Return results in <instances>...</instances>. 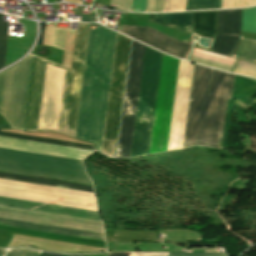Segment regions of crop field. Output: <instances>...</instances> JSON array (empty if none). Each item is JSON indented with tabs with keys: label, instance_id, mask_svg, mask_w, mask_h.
Instances as JSON below:
<instances>
[{
	"label": "crop field",
	"instance_id": "18",
	"mask_svg": "<svg viewBox=\"0 0 256 256\" xmlns=\"http://www.w3.org/2000/svg\"><path fill=\"white\" fill-rule=\"evenodd\" d=\"M89 26L90 24L79 23L72 59L71 69L82 74L84 69Z\"/></svg>",
	"mask_w": 256,
	"mask_h": 256
},
{
	"label": "crop field",
	"instance_id": "37",
	"mask_svg": "<svg viewBox=\"0 0 256 256\" xmlns=\"http://www.w3.org/2000/svg\"><path fill=\"white\" fill-rule=\"evenodd\" d=\"M44 26H45V23L41 22L40 23L41 35H40V38H39V41H38V43H40V44H42V41H43Z\"/></svg>",
	"mask_w": 256,
	"mask_h": 256
},
{
	"label": "crop field",
	"instance_id": "16",
	"mask_svg": "<svg viewBox=\"0 0 256 256\" xmlns=\"http://www.w3.org/2000/svg\"><path fill=\"white\" fill-rule=\"evenodd\" d=\"M1 225L65 234L104 241L103 234L0 218Z\"/></svg>",
	"mask_w": 256,
	"mask_h": 256
},
{
	"label": "crop field",
	"instance_id": "20",
	"mask_svg": "<svg viewBox=\"0 0 256 256\" xmlns=\"http://www.w3.org/2000/svg\"><path fill=\"white\" fill-rule=\"evenodd\" d=\"M193 55H197V56H200V57L208 58V59H211V60H215V61H218V62L230 64V65H232L234 60H235L233 58H229V57H225V56H221V55L201 51V50H198L196 48L193 52ZM193 55L191 56L190 61H194V62H197V63H200V64H204V65H207V66H210V67H214V68H217V69H220V70H224V71H227V72H229V70L231 68L230 65L218 63V62H215V61L207 60V59L200 58V57L193 56Z\"/></svg>",
	"mask_w": 256,
	"mask_h": 256
},
{
	"label": "crop field",
	"instance_id": "39",
	"mask_svg": "<svg viewBox=\"0 0 256 256\" xmlns=\"http://www.w3.org/2000/svg\"><path fill=\"white\" fill-rule=\"evenodd\" d=\"M4 251H5V250H1V249H0V256L3 255Z\"/></svg>",
	"mask_w": 256,
	"mask_h": 256
},
{
	"label": "crop field",
	"instance_id": "29",
	"mask_svg": "<svg viewBox=\"0 0 256 256\" xmlns=\"http://www.w3.org/2000/svg\"><path fill=\"white\" fill-rule=\"evenodd\" d=\"M165 0H148L146 12H163Z\"/></svg>",
	"mask_w": 256,
	"mask_h": 256
},
{
	"label": "crop field",
	"instance_id": "25",
	"mask_svg": "<svg viewBox=\"0 0 256 256\" xmlns=\"http://www.w3.org/2000/svg\"><path fill=\"white\" fill-rule=\"evenodd\" d=\"M8 23H3V14H0V68L4 67Z\"/></svg>",
	"mask_w": 256,
	"mask_h": 256
},
{
	"label": "crop field",
	"instance_id": "33",
	"mask_svg": "<svg viewBox=\"0 0 256 256\" xmlns=\"http://www.w3.org/2000/svg\"><path fill=\"white\" fill-rule=\"evenodd\" d=\"M169 256H226L225 254H205V253H170Z\"/></svg>",
	"mask_w": 256,
	"mask_h": 256
},
{
	"label": "crop field",
	"instance_id": "8",
	"mask_svg": "<svg viewBox=\"0 0 256 256\" xmlns=\"http://www.w3.org/2000/svg\"><path fill=\"white\" fill-rule=\"evenodd\" d=\"M145 46L133 41L117 157H129Z\"/></svg>",
	"mask_w": 256,
	"mask_h": 256
},
{
	"label": "crop field",
	"instance_id": "26",
	"mask_svg": "<svg viewBox=\"0 0 256 256\" xmlns=\"http://www.w3.org/2000/svg\"><path fill=\"white\" fill-rule=\"evenodd\" d=\"M219 0H188L186 10L218 8Z\"/></svg>",
	"mask_w": 256,
	"mask_h": 256
},
{
	"label": "crop field",
	"instance_id": "5",
	"mask_svg": "<svg viewBox=\"0 0 256 256\" xmlns=\"http://www.w3.org/2000/svg\"><path fill=\"white\" fill-rule=\"evenodd\" d=\"M161 57L146 46L130 157L148 154Z\"/></svg>",
	"mask_w": 256,
	"mask_h": 256
},
{
	"label": "crop field",
	"instance_id": "32",
	"mask_svg": "<svg viewBox=\"0 0 256 256\" xmlns=\"http://www.w3.org/2000/svg\"><path fill=\"white\" fill-rule=\"evenodd\" d=\"M147 0H134L132 11L145 12Z\"/></svg>",
	"mask_w": 256,
	"mask_h": 256
},
{
	"label": "crop field",
	"instance_id": "19",
	"mask_svg": "<svg viewBox=\"0 0 256 256\" xmlns=\"http://www.w3.org/2000/svg\"><path fill=\"white\" fill-rule=\"evenodd\" d=\"M216 11L194 12L192 33L215 39Z\"/></svg>",
	"mask_w": 256,
	"mask_h": 256
},
{
	"label": "crop field",
	"instance_id": "34",
	"mask_svg": "<svg viewBox=\"0 0 256 256\" xmlns=\"http://www.w3.org/2000/svg\"><path fill=\"white\" fill-rule=\"evenodd\" d=\"M168 253H130L129 256H167Z\"/></svg>",
	"mask_w": 256,
	"mask_h": 256
},
{
	"label": "crop field",
	"instance_id": "10",
	"mask_svg": "<svg viewBox=\"0 0 256 256\" xmlns=\"http://www.w3.org/2000/svg\"><path fill=\"white\" fill-rule=\"evenodd\" d=\"M0 217L103 233L102 225L98 222L36 213L6 207H0Z\"/></svg>",
	"mask_w": 256,
	"mask_h": 256
},
{
	"label": "crop field",
	"instance_id": "24",
	"mask_svg": "<svg viewBox=\"0 0 256 256\" xmlns=\"http://www.w3.org/2000/svg\"><path fill=\"white\" fill-rule=\"evenodd\" d=\"M242 31L256 33V8L243 10Z\"/></svg>",
	"mask_w": 256,
	"mask_h": 256
},
{
	"label": "crop field",
	"instance_id": "36",
	"mask_svg": "<svg viewBox=\"0 0 256 256\" xmlns=\"http://www.w3.org/2000/svg\"><path fill=\"white\" fill-rule=\"evenodd\" d=\"M40 256H58L56 253H49V252H41ZM59 256H84V255H66V254H59Z\"/></svg>",
	"mask_w": 256,
	"mask_h": 256
},
{
	"label": "crop field",
	"instance_id": "14",
	"mask_svg": "<svg viewBox=\"0 0 256 256\" xmlns=\"http://www.w3.org/2000/svg\"><path fill=\"white\" fill-rule=\"evenodd\" d=\"M0 206H6V207L101 222L97 212L82 210V209H75V208L37 203V202H31V201H25V200H18V199L6 198V197H0Z\"/></svg>",
	"mask_w": 256,
	"mask_h": 256
},
{
	"label": "crop field",
	"instance_id": "28",
	"mask_svg": "<svg viewBox=\"0 0 256 256\" xmlns=\"http://www.w3.org/2000/svg\"><path fill=\"white\" fill-rule=\"evenodd\" d=\"M37 253L36 250L28 248H18V249H9L6 256H35ZM40 251H38L36 256H39Z\"/></svg>",
	"mask_w": 256,
	"mask_h": 256
},
{
	"label": "crop field",
	"instance_id": "12",
	"mask_svg": "<svg viewBox=\"0 0 256 256\" xmlns=\"http://www.w3.org/2000/svg\"><path fill=\"white\" fill-rule=\"evenodd\" d=\"M123 34L175 57L185 59L191 46L147 27L124 25Z\"/></svg>",
	"mask_w": 256,
	"mask_h": 256
},
{
	"label": "crop field",
	"instance_id": "22",
	"mask_svg": "<svg viewBox=\"0 0 256 256\" xmlns=\"http://www.w3.org/2000/svg\"><path fill=\"white\" fill-rule=\"evenodd\" d=\"M234 57L255 63L256 40L241 37V41Z\"/></svg>",
	"mask_w": 256,
	"mask_h": 256
},
{
	"label": "crop field",
	"instance_id": "35",
	"mask_svg": "<svg viewBox=\"0 0 256 256\" xmlns=\"http://www.w3.org/2000/svg\"><path fill=\"white\" fill-rule=\"evenodd\" d=\"M81 21L96 22L97 19H96L95 15H85V14H82Z\"/></svg>",
	"mask_w": 256,
	"mask_h": 256
},
{
	"label": "crop field",
	"instance_id": "17",
	"mask_svg": "<svg viewBox=\"0 0 256 256\" xmlns=\"http://www.w3.org/2000/svg\"><path fill=\"white\" fill-rule=\"evenodd\" d=\"M193 12L175 14H150L149 20L191 33Z\"/></svg>",
	"mask_w": 256,
	"mask_h": 256
},
{
	"label": "crop field",
	"instance_id": "4",
	"mask_svg": "<svg viewBox=\"0 0 256 256\" xmlns=\"http://www.w3.org/2000/svg\"><path fill=\"white\" fill-rule=\"evenodd\" d=\"M0 171L92 185L79 160L0 148Z\"/></svg>",
	"mask_w": 256,
	"mask_h": 256
},
{
	"label": "crop field",
	"instance_id": "38",
	"mask_svg": "<svg viewBox=\"0 0 256 256\" xmlns=\"http://www.w3.org/2000/svg\"><path fill=\"white\" fill-rule=\"evenodd\" d=\"M118 255H119V253H111L110 256H118ZM128 255H129V253H120L119 256H128Z\"/></svg>",
	"mask_w": 256,
	"mask_h": 256
},
{
	"label": "crop field",
	"instance_id": "2",
	"mask_svg": "<svg viewBox=\"0 0 256 256\" xmlns=\"http://www.w3.org/2000/svg\"><path fill=\"white\" fill-rule=\"evenodd\" d=\"M211 69L195 68L185 147L205 145L221 148L227 98L232 97L235 75Z\"/></svg>",
	"mask_w": 256,
	"mask_h": 256
},
{
	"label": "crop field",
	"instance_id": "31",
	"mask_svg": "<svg viewBox=\"0 0 256 256\" xmlns=\"http://www.w3.org/2000/svg\"><path fill=\"white\" fill-rule=\"evenodd\" d=\"M132 0H111L110 6L130 11ZM122 10V11H123Z\"/></svg>",
	"mask_w": 256,
	"mask_h": 256
},
{
	"label": "crop field",
	"instance_id": "27",
	"mask_svg": "<svg viewBox=\"0 0 256 256\" xmlns=\"http://www.w3.org/2000/svg\"><path fill=\"white\" fill-rule=\"evenodd\" d=\"M234 72L243 74V75L256 77V64L240 60L238 65L236 66Z\"/></svg>",
	"mask_w": 256,
	"mask_h": 256
},
{
	"label": "crop field",
	"instance_id": "1",
	"mask_svg": "<svg viewBox=\"0 0 256 256\" xmlns=\"http://www.w3.org/2000/svg\"><path fill=\"white\" fill-rule=\"evenodd\" d=\"M117 33L90 27L76 138L100 151Z\"/></svg>",
	"mask_w": 256,
	"mask_h": 256
},
{
	"label": "crop field",
	"instance_id": "15",
	"mask_svg": "<svg viewBox=\"0 0 256 256\" xmlns=\"http://www.w3.org/2000/svg\"><path fill=\"white\" fill-rule=\"evenodd\" d=\"M27 245H36L38 248H42V249L68 251V252H77V251L93 252V251H99V250H106L102 248L18 235L14 247L27 246Z\"/></svg>",
	"mask_w": 256,
	"mask_h": 256
},
{
	"label": "crop field",
	"instance_id": "6",
	"mask_svg": "<svg viewBox=\"0 0 256 256\" xmlns=\"http://www.w3.org/2000/svg\"><path fill=\"white\" fill-rule=\"evenodd\" d=\"M34 57L0 73V114L11 128L23 130Z\"/></svg>",
	"mask_w": 256,
	"mask_h": 256
},
{
	"label": "crop field",
	"instance_id": "3",
	"mask_svg": "<svg viewBox=\"0 0 256 256\" xmlns=\"http://www.w3.org/2000/svg\"><path fill=\"white\" fill-rule=\"evenodd\" d=\"M45 62L37 58L26 131L74 137L83 75L51 62L47 63L57 66V70L50 126L49 130H37Z\"/></svg>",
	"mask_w": 256,
	"mask_h": 256
},
{
	"label": "crop field",
	"instance_id": "21",
	"mask_svg": "<svg viewBox=\"0 0 256 256\" xmlns=\"http://www.w3.org/2000/svg\"><path fill=\"white\" fill-rule=\"evenodd\" d=\"M0 177L1 178H7V179H13V180H20V181H26V182H33V183H39V184L52 185V186L65 187V188H71V189L93 192L92 187L83 186V185H76V184L50 181V180H44V179H38V178H31V177L18 176V175H12V174H5V173H0Z\"/></svg>",
	"mask_w": 256,
	"mask_h": 256
},
{
	"label": "crop field",
	"instance_id": "30",
	"mask_svg": "<svg viewBox=\"0 0 256 256\" xmlns=\"http://www.w3.org/2000/svg\"><path fill=\"white\" fill-rule=\"evenodd\" d=\"M67 29L57 28L54 46L64 50Z\"/></svg>",
	"mask_w": 256,
	"mask_h": 256
},
{
	"label": "crop field",
	"instance_id": "13",
	"mask_svg": "<svg viewBox=\"0 0 256 256\" xmlns=\"http://www.w3.org/2000/svg\"><path fill=\"white\" fill-rule=\"evenodd\" d=\"M0 147L82 160L93 151L0 136Z\"/></svg>",
	"mask_w": 256,
	"mask_h": 256
},
{
	"label": "crop field",
	"instance_id": "11",
	"mask_svg": "<svg viewBox=\"0 0 256 256\" xmlns=\"http://www.w3.org/2000/svg\"><path fill=\"white\" fill-rule=\"evenodd\" d=\"M241 9L218 11L216 40L212 52L233 56L239 41Z\"/></svg>",
	"mask_w": 256,
	"mask_h": 256
},
{
	"label": "crop field",
	"instance_id": "7",
	"mask_svg": "<svg viewBox=\"0 0 256 256\" xmlns=\"http://www.w3.org/2000/svg\"><path fill=\"white\" fill-rule=\"evenodd\" d=\"M178 63L175 58L162 61L149 154L167 150Z\"/></svg>",
	"mask_w": 256,
	"mask_h": 256
},
{
	"label": "crop field",
	"instance_id": "23",
	"mask_svg": "<svg viewBox=\"0 0 256 256\" xmlns=\"http://www.w3.org/2000/svg\"><path fill=\"white\" fill-rule=\"evenodd\" d=\"M0 135L93 150V146L0 131Z\"/></svg>",
	"mask_w": 256,
	"mask_h": 256
},
{
	"label": "crop field",
	"instance_id": "9",
	"mask_svg": "<svg viewBox=\"0 0 256 256\" xmlns=\"http://www.w3.org/2000/svg\"><path fill=\"white\" fill-rule=\"evenodd\" d=\"M129 38L118 33L101 152L112 157Z\"/></svg>",
	"mask_w": 256,
	"mask_h": 256
}]
</instances>
